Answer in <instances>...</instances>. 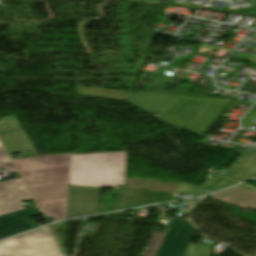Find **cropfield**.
Wrapping results in <instances>:
<instances>
[{
  "instance_id": "crop-field-1",
  "label": "crop field",
  "mask_w": 256,
  "mask_h": 256,
  "mask_svg": "<svg viewBox=\"0 0 256 256\" xmlns=\"http://www.w3.org/2000/svg\"><path fill=\"white\" fill-rule=\"evenodd\" d=\"M40 209L55 221L66 218L70 154L13 160Z\"/></svg>"
},
{
  "instance_id": "crop-field-2",
  "label": "crop field",
  "mask_w": 256,
  "mask_h": 256,
  "mask_svg": "<svg viewBox=\"0 0 256 256\" xmlns=\"http://www.w3.org/2000/svg\"><path fill=\"white\" fill-rule=\"evenodd\" d=\"M231 101L139 93L131 95L129 103L150 112L160 113L166 123L202 136L208 127L224 111ZM231 104V103H230Z\"/></svg>"
},
{
  "instance_id": "crop-field-3",
  "label": "crop field",
  "mask_w": 256,
  "mask_h": 256,
  "mask_svg": "<svg viewBox=\"0 0 256 256\" xmlns=\"http://www.w3.org/2000/svg\"><path fill=\"white\" fill-rule=\"evenodd\" d=\"M127 152L71 155L69 185L117 188L124 185Z\"/></svg>"
},
{
  "instance_id": "crop-field-4",
  "label": "crop field",
  "mask_w": 256,
  "mask_h": 256,
  "mask_svg": "<svg viewBox=\"0 0 256 256\" xmlns=\"http://www.w3.org/2000/svg\"><path fill=\"white\" fill-rule=\"evenodd\" d=\"M0 256H64L49 228L37 229L0 242Z\"/></svg>"
},
{
  "instance_id": "crop-field-5",
  "label": "crop field",
  "mask_w": 256,
  "mask_h": 256,
  "mask_svg": "<svg viewBox=\"0 0 256 256\" xmlns=\"http://www.w3.org/2000/svg\"><path fill=\"white\" fill-rule=\"evenodd\" d=\"M16 172L5 150L0 144V168ZM31 199L21 179L0 183V214L22 209L20 201Z\"/></svg>"
},
{
  "instance_id": "crop-field-6",
  "label": "crop field",
  "mask_w": 256,
  "mask_h": 256,
  "mask_svg": "<svg viewBox=\"0 0 256 256\" xmlns=\"http://www.w3.org/2000/svg\"><path fill=\"white\" fill-rule=\"evenodd\" d=\"M195 230L187 219L174 217L156 256H183Z\"/></svg>"
},
{
  "instance_id": "crop-field-7",
  "label": "crop field",
  "mask_w": 256,
  "mask_h": 256,
  "mask_svg": "<svg viewBox=\"0 0 256 256\" xmlns=\"http://www.w3.org/2000/svg\"><path fill=\"white\" fill-rule=\"evenodd\" d=\"M100 188L69 186L67 218L97 211Z\"/></svg>"
},
{
  "instance_id": "crop-field-8",
  "label": "crop field",
  "mask_w": 256,
  "mask_h": 256,
  "mask_svg": "<svg viewBox=\"0 0 256 256\" xmlns=\"http://www.w3.org/2000/svg\"><path fill=\"white\" fill-rule=\"evenodd\" d=\"M40 214L36 206L0 215V239L40 226L30 222V217Z\"/></svg>"
},
{
  "instance_id": "crop-field-9",
  "label": "crop field",
  "mask_w": 256,
  "mask_h": 256,
  "mask_svg": "<svg viewBox=\"0 0 256 256\" xmlns=\"http://www.w3.org/2000/svg\"><path fill=\"white\" fill-rule=\"evenodd\" d=\"M209 196L242 210L256 209V189L244 184Z\"/></svg>"
},
{
  "instance_id": "crop-field-10",
  "label": "crop field",
  "mask_w": 256,
  "mask_h": 256,
  "mask_svg": "<svg viewBox=\"0 0 256 256\" xmlns=\"http://www.w3.org/2000/svg\"><path fill=\"white\" fill-rule=\"evenodd\" d=\"M225 176L237 181L256 177V150L246 148Z\"/></svg>"
},
{
  "instance_id": "crop-field-11",
  "label": "crop field",
  "mask_w": 256,
  "mask_h": 256,
  "mask_svg": "<svg viewBox=\"0 0 256 256\" xmlns=\"http://www.w3.org/2000/svg\"><path fill=\"white\" fill-rule=\"evenodd\" d=\"M0 138L9 154L31 151L38 156L23 129L0 133Z\"/></svg>"
},
{
  "instance_id": "crop-field-12",
  "label": "crop field",
  "mask_w": 256,
  "mask_h": 256,
  "mask_svg": "<svg viewBox=\"0 0 256 256\" xmlns=\"http://www.w3.org/2000/svg\"><path fill=\"white\" fill-rule=\"evenodd\" d=\"M124 193L122 189H115L113 194L119 195L115 199L100 197L99 213L137 206L139 194H131L130 198H127Z\"/></svg>"
},
{
  "instance_id": "crop-field-13",
  "label": "crop field",
  "mask_w": 256,
  "mask_h": 256,
  "mask_svg": "<svg viewBox=\"0 0 256 256\" xmlns=\"http://www.w3.org/2000/svg\"><path fill=\"white\" fill-rule=\"evenodd\" d=\"M75 94L127 101L130 93L89 87H75Z\"/></svg>"
},
{
  "instance_id": "crop-field-14",
  "label": "crop field",
  "mask_w": 256,
  "mask_h": 256,
  "mask_svg": "<svg viewBox=\"0 0 256 256\" xmlns=\"http://www.w3.org/2000/svg\"><path fill=\"white\" fill-rule=\"evenodd\" d=\"M218 179L215 176L208 177L200 187L181 182L173 192L199 194L203 188L210 190Z\"/></svg>"
},
{
  "instance_id": "crop-field-15",
  "label": "crop field",
  "mask_w": 256,
  "mask_h": 256,
  "mask_svg": "<svg viewBox=\"0 0 256 256\" xmlns=\"http://www.w3.org/2000/svg\"><path fill=\"white\" fill-rule=\"evenodd\" d=\"M204 237L202 236L198 245L190 244L184 256H209L216 241L208 246L201 245Z\"/></svg>"
},
{
  "instance_id": "crop-field-16",
  "label": "crop field",
  "mask_w": 256,
  "mask_h": 256,
  "mask_svg": "<svg viewBox=\"0 0 256 256\" xmlns=\"http://www.w3.org/2000/svg\"><path fill=\"white\" fill-rule=\"evenodd\" d=\"M21 126L16 116L0 118V132L20 129Z\"/></svg>"
},
{
  "instance_id": "crop-field-17",
  "label": "crop field",
  "mask_w": 256,
  "mask_h": 256,
  "mask_svg": "<svg viewBox=\"0 0 256 256\" xmlns=\"http://www.w3.org/2000/svg\"><path fill=\"white\" fill-rule=\"evenodd\" d=\"M163 238H164L163 234L155 233L151 240V243L146 251L145 256H155Z\"/></svg>"
},
{
  "instance_id": "crop-field-18",
  "label": "crop field",
  "mask_w": 256,
  "mask_h": 256,
  "mask_svg": "<svg viewBox=\"0 0 256 256\" xmlns=\"http://www.w3.org/2000/svg\"><path fill=\"white\" fill-rule=\"evenodd\" d=\"M237 182H234L232 180H229L225 177H221L219 179V181L214 185V187L212 188L213 191H216V190H219L221 188H224V187H227V186H230V185H233V184H236Z\"/></svg>"
}]
</instances>
